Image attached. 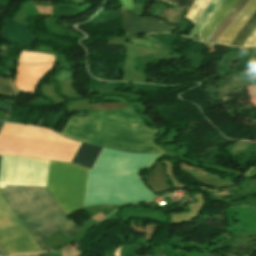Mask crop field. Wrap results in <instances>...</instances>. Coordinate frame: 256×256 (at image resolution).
<instances>
[{"label":"crop field","instance_id":"15","mask_svg":"<svg viewBox=\"0 0 256 256\" xmlns=\"http://www.w3.org/2000/svg\"><path fill=\"white\" fill-rule=\"evenodd\" d=\"M210 2V0H196V2L189 9L186 19L195 23L201 11L205 8V6Z\"/></svg>","mask_w":256,"mask_h":256},{"label":"crop field","instance_id":"18","mask_svg":"<svg viewBox=\"0 0 256 256\" xmlns=\"http://www.w3.org/2000/svg\"><path fill=\"white\" fill-rule=\"evenodd\" d=\"M256 37V27L254 30L246 37L242 46L250 47L254 38Z\"/></svg>","mask_w":256,"mask_h":256},{"label":"crop field","instance_id":"20","mask_svg":"<svg viewBox=\"0 0 256 256\" xmlns=\"http://www.w3.org/2000/svg\"><path fill=\"white\" fill-rule=\"evenodd\" d=\"M2 125H3V123H2V122H0V129H1Z\"/></svg>","mask_w":256,"mask_h":256},{"label":"crop field","instance_id":"11","mask_svg":"<svg viewBox=\"0 0 256 256\" xmlns=\"http://www.w3.org/2000/svg\"><path fill=\"white\" fill-rule=\"evenodd\" d=\"M211 1V0H210ZM224 0H212L207 7L204 9V11L199 16L196 24L188 34V37L194 39L197 32L200 30V28L203 26V24L210 18V16L215 12V10L220 6V4Z\"/></svg>","mask_w":256,"mask_h":256},{"label":"crop field","instance_id":"4","mask_svg":"<svg viewBox=\"0 0 256 256\" xmlns=\"http://www.w3.org/2000/svg\"><path fill=\"white\" fill-rule=\"evenodd\" d=\"M125 36L159 32L170 33L176 27L154 17H138L133 11L121 8Z\"/></svg>","mask_w":256,"mask_h":256},{"label":"crop field","instance_id":"12","mask_svg":"<svg viewBox=\"0 0 256 256\" xmlns=\"http://www.w3.org/2000/svg\"><path fill=\"white\" fill-rule=\"evenodd\" d=\"M148 184L153 187L157 192L165 191L170 188L169 183L162 173V167L157 163L155 171L149 175Z\"/></svg>","mask_w":256,"mask_h":256},{"label":"crop field","instance_id":"13","mask_svg":"<svg viewBox=\"0 0 256 256\" xmlns=\"http://www.w3.org/2000/svg\"><path fill=\"white\" fill-rule=\"evenodd\" d=\"M256 25V12L253 16L248 20V22L242 27L233 41L230 43L232 46L241 47L244 38L253 30Z\"/></svg>","mask_w":256,"mask_h":256},{"label":"crop field","instance_id":"7","mask_svg":"<svg viewBox=\"0 0 256 256\" xmlns=\"http://www.w3.org/2000/svg\"><path fill=\"white\" fill-rule=\"evenodd\" d=\"M256 10V0H251L245 7L243 12L238 18L231 24L226 32L221 36L218 44L229 45L234 36L240 30V28L246 23V21L252 16Z\"/></svg>","mask_w":256,"mask_h":256},{"label":"crop field","instance_id":"3","mask_svg":"<svg viewBox=\"0 0 256 256\" xmlns=\"http://www.w3.org/2000/svg\"><path fill=\"white\" fill-rule=\"evenodd\" d=\"M87 170L50 161L46 188L68 215L82 208Z\"/></svg>","mask_w":256,"mask_h":256},{"label":"crop field","instance_id":"5","mask_svg":"<svg viewBox=\"0 0 256 256\" xmlns=\"http://www.w3.org/2000/svg\"><path fill=\"white\" fill-rule=\"evenodd\" d=\"M54 63L40 65L17 64L15 86L21 92L34 94L39 79L52 70Z\"/></svg>","mask_w":256,"mask_h":256},{"label":"crop field","instance_id":"1","mask_svg":"<svg viewBox=\"0 0 256 256\" xmlns=\"http://www.w3.org/2000/svg\"><path fill=\"white\" fill-rule=\"evenodd\" d=\"M0 188L29 234L43 251L50 249L46 238L61 231L71 239L84 229L65 215L46 188L3 185H0ZM1 190L0 244L2 248L9 254L42 252Z\"/></svg>","mask_w":256,"mask_h":256},{"label":"crop field","instance_id":"8","mask_svg":"<svg viewBox=\"0 0 256 256\" xmlns=\"http://www.w3.org/2000/svg\"><path fill=\"white\" fill-rule=\"evenodd\" d=\"M250 0H238L233 8L226 14L220 24L211 33L207 43L216 44L220 36L225 32L229 25L237 18L242 12L244 7Z\"/></svg>","mask_w":256,"mask_h":256},{"label":"crop field","instance_id":"19","mask_svg":"<svg viewBox=\"0 0 256 256\" xmlns=\"http://www.w3.org/2000/svg\"><path fill=\"white\" fill-rule=\"evenodd\" d=\"M251 47L256 48V39L254 40V42H253V44H252V46H251Z\"/></svg>","mask_w":256,"mask_h":256},{"label":"crop field","instance_id":"10","mask_svg":"<svg viewBox=\"0 0 256 256\" xmlns=\"http://www.w3.org/2000/svg\"><path fill=\"white\" fill-rule=\"evenodd\" d=\"M100 150H101L100 147L81 143L72 162L91 169Z\"/></svg>","mask_w":256,"mask_h":256},{"label":"crop field","instance_id":"21","mask_svg":"<svg viewBox=\"0 0 256 256\" xmlns=\"http://www.w3.org/2000/svg\"><path fill=\"white\" fill-rule=\"evenodd\" d=\"M0 255H1V253H0Z\"/></svg>","mask_w":256,"mask_h":256},{"label":"crop field","instance_id":"6","mask_svg":"<svg viewBox=\"0 0 256 256\" xmlns=\"http://www.w3.org/2000/svg\"><path fill=\"white\" fill-rule=\"evenodd\" d=\"M3 38L24 47L31 46L34 36L26 29V25L17 21L6 19Z\"/></svg>","mask_w":256,"mask_h":256},{"label":"crop field","instance_id":"14","mask_svg":"<svg viewBox=\"0 0 256 256\" xmlns=\"http://www.w3.org/2000/svg\"><path fill=\"white\" fill-rule=\"evenodd\" d=\"M19 93L13 84V79L0 77V95L17 97Z\"/></svg>","mask_w":256,"mask_h":256},{"label":"crop field","instance_id":"2","mask_svg":"<svg viewBox=\"0 0 256 256\" xmlns=\"http://www.w3.org/2000/svg\"><path fill=\"white\" fill-rule=\"evenodd\" d=\"M155 133L131 107H126L116 112H89L86 118L73 116L61 134L117 150L163 152L152 142Z\"/></svg>","mask_w":256,"mask_h":256},{"label":"crop field","instance_id":"16","mask_svg":"<svg viewBox=\"0 0 256 256\" xmlns=\"http://www.w3.org/2000/svg\"><path fill=\"white\" fill-rule=\"evenodd\" d=\"M18 61L25 64H40L54 62V59L20 57Z\"/></svg>","mask_w":256,"mask_h":256},{"label":"crop field","instance_id":"9","mask_svg":"<svg viewBox=\"0 0 256 256\" xmlns=\"http://www.w3.org/2000/svg\"><path fill=\"white\" fill-rule=\"evenodd\" d=\"M237 0H225L211 18L204 24L200 30L198 37L201 41L206 42L210 33L219 24L225 14L232 8Z\"/></svg>","mask_w":256,"mask_h":256},{"label":"crop field","instance_id":"17","mask_svg":"<svg viewBox=\"0 0 256 256\" xmlns=\"http://www.w3.org/2000/svg\"><path fill=\"white\" fill-rule=\"evenodd\" d=\"M194 1H195V0H190L189 3L187 4L188 0H179V2H178V0H169V1H168V4H171V5L176 6V4H177V2H178L177 5H178V6H182V7H185L186 4H187V6H186L185 9L188 10V9L191 7V5L194 3Z\"/></svg>","mask_w":256,"mask_h":256}]
</instances>
